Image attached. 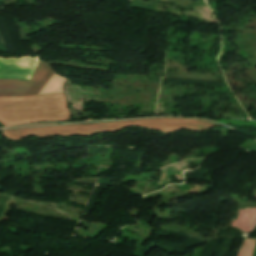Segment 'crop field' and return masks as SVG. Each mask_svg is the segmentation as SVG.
<instances>
[{
    "label": "crop field",
    "instance_id": "8a807250",
    "mask_svg": "<svg viewBox=\"0 0 256 256\" xmlns=\"http://www.w3.org/2000/svg\"><path fill=\"white\" fill-rule=\"evenodd\" d=\"M130 125H136L144 128L159 130L164 134L176 132L179 129L187 128L195 131H203L209 127L220 126L207 121L193 120V119H139V120H125L114 122H102L91 124H77V125H62L41 128L28 129H12L3 130V135L19 140L29 134H34L36 137L52 136V135H83L87 136L97 132H111Z\"/></svg>",
    "mask_w": 256,
    "mask_h": 256
},
{
    "label": "crop field",
    "instance_id": "ac0d7876",
    "mask_svg": "<svg viewBox=\"0 0 256 256\" xmlns=\"http://www.w3.org/2000/svg\"><path fill=\"white\" fill-rule=\"evenodd\" d=\"M42 120H70L62 93L0 98L4 126Z\"/></svg>",
    "mask_w": 256,
    "mask_h": 256
},
{
    "label": "crop field",
    "instance_id": "34b2d1b8",
    "mask_svg": "<svg viewBox=\"0 0 256 256\" xmlns=\"http://www.w3.org/2000/svg\"><path fill=\"white\" fill-rule=\"evenodd\" d=\"M53 72L48 65L40 60L30 81L0 79V96L38 94Z\"/></svg>",
    "mask_w": 256,
    "mask_h": 256
},
{
    "label": "crop field",
    "instance_id": "412701ff",
    "mask_svg": "<svg viewBox=\"0 0 256 256\" xmlns=\"http://www.w3.org/2000/svg\"><path fill=\"white\" fill-rule=\"evenodd\" d=\"M38 62V57L0 58V78L30 80Z\"/></svg>",
    "mask_w": 256,
    "mask_h": 256
},
{
    "label": "crop field",
    "instance_id": "f4fd0767",
    "mask_svg": "<svg viewBox=\"0 0 256 256\" xmlns=\"http://www.w3.org/2000/svg\"><path fill=\"white\" fill-rule=\"evenodd\" d=\"M255 240L256 239L244 238L237 256H252Z\"/></svg>",
    "mask_w": 256,
    "mask_h": 256
}]
</instances>
